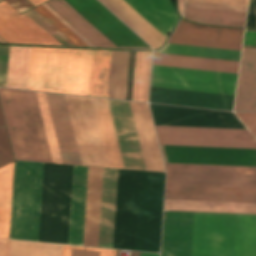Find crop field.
<instances>
[{"mask_svg": "<svg viewBox=\"0 0 256 256\" xmlns=\"http://www.w3.org/2000/svg\"><path fill=\"white\" fill-rule=\"evenodd\" d=\"M164 173L119 170L113 248L159 252Z\"/></svg>", "mask_w": 256, "mask_h": 256, "instance_id": "1", "label": "crop field"}, {"mask_svg": "<svg viewBox=\"0 0 256 256\" xmlns=\"http://www.w3.org/2000/svg\"><path fill=\"white\" fill-rule=\"evenodd\" d=\"M92 50L31 48L27 89L88 96Z\"/></svg>", "mask_w": 256, "mask_h": 256, "instance_id": "2", "label": "crop field"}, {"mask_svg": "<svg viewBox=\"0 0 256 256\" xmlns=\"http://www.w3.org/2000/svg\"><path fill=\"white\" fill-rule=\"evenodd\" d=\"M16 159L52 162L35 92L0 88Z\"/></svg>", "mask_w": 256, "mask_h": 256, "instance_id": "3", "label": "crop field"}, {"mask_svg": "<svg viewBox=\"0 0 256 256\" xmlns=\"http://www.w3.org/2000/svg\"><path fill=\"white\" fill-rule=\"evenodd\" d=\"M252 215L194 213L191 256H249Z\"/></svg>", "mask_w": 256, "mask_h": 256, "instance_id": "4", "label": "crop field"}, {"mask_svg": "<svg viewBox=\"0 0 256 256\" xmlns=\"http://www.w3.org/2000/svg\"><path fill=\"white\" fill-rule=\"evenodd\" d=\"M72 172L44 163L39 241L67 244Z\"/></svg>", "mask_w": 256, "mask_h": 256, "instance_id": "5", "label": "crop field"}, {"mask_svg": "<svg viewBox=\"0 0 256 256\" xmlns=\"http://www.w3.org/2000/svg\"><path fill=\"white\" fill-rule=\"evenodd\" d=\"M43 163L15 161L9 238L38 241Z\"/></svg>", "mask_w": 256, "mask_h": 256, "instance_id": "6", "label": "crop field"}, {"mask_svg": "<svg viewBox=\"0 0 256 256\" xmlns=\"http://www.w3.org/2000/svg\"><path fill=\"white\" fill-rule=\"evenodd\" d=\"M153 49L159 48L179 16L168 0H99Z\"/></svg>", "mask_w": 256, "mask_h": 256, "instance_id": "7", "label": "crop field"}, {"mask_svg": "<svg viewBox=\"0 0 256 256\" xmlns=\"http://www.w3.org/2000/svg\"><path fill=\"white\" fill-rule=\"evenodd\" d=\"M166 184L256 188V167L165 164Z\"/></svg>", "mask_w": 256, "mask_h": 256, "instance_id": "8", "label": "crop field"}, {"mask_svg": "<svg viewBox=\"0 0 256 256\" xmlns=\"http://www.w3.org/2000/svg\"><path fill=\"white\" fill-rule=\"evenodd\" d=\"M82 164L109 167L91 98L65 95Z\"/></svg>", "mask_w": 256, "mask_h": 256, "instance_id": "9", "label": "crop field"}, {"mask_svg": "<svg viewBox=\"0 0 256 256\" xmlns=\"http://www.w3.org/2000/svg\"><path fill=\"white\" fill-rule=\"evenodd\" d=\"M160 145L256 149L247 130L155 126Z\"/></svg>", "mask_w": 256, "mask_h": 256, "instance_id": "10", "label": "crop field"}, {"mask_svg": "<svg viewBox=\"0 0 256 256\" xmlns=\"http://www.w3.org/2000/svg\"><path fill=\"white\" fill-rule=\"evenodd\" d=\"M237 74L153 66L151 86L234 95Z\"/></svg>", "mask_w": 256, "mask_h": 256, "instance_id": "11", "label": "crop field"}, {"mask_svg": "<svg viewBox=\"0 0 256 256\" xmlns=\"http://www.w3.org/2000/svg\"><path fill=\"white\" fill-rule=\"evenodd\" d=\"M155 125L245 129L232 113L150 104Z\"/></svg>", "mask_w": 256, "mask_h": 256, "instance_id": "12", "label": "crop field"}, {"mask_svg": "<svg viewBox=\"0 0 256 256\" xmlns=\"http://www.w3.org/2000/svg\"><path fill=\"white\" fill-rule=\"evenodd\" d=\"M165 163L256 166V150L163 146Z\"/></svg>", "mask_w": 256, "mask_h": 256, "instance_id": "13", "label": "crop field"}, {"mask_svg": "<svg viewBox=\"0 0 256 256\" xmlns=\"http://www.w3.org/2000/svg\"><path fill=\"white\" fill-rule=\"evenodd\" d=\"M117 46L149 47L96 0H66ZM133 48V47H118ZM151 49V48H134Z\"/></svg>", "mask_w": 256, "mask_h": 256, "instance_id": "14", "label": "crop field"}, {"mask_svg": "<svg viewBox=\"0 0 256 256\" xmlns=\"http://www.w3.org/2000/svg\"><path fill=\"white\" fill-rule=\"evenodd\" d=\"M242 33L243 30L206 27L181 19L169 43L240 50Z\"/></svg>", "mask_w": 256, "mask_h": 256, "instance_id": "15", "label": "crop field"}, {"mask_svg": "<svg viewBox=\"0 0 256 256\" xmlns=\"http://www.w3.org/2000/svg\"><path fill=\"white\" fill-rule=\"evenodd\" d=\"M0 37L8 43L61 45L25 13L0 2Z\"/></svg>", "mask_w": 256, "mask_h": 256, "instance_id": "16", "label": "crop field"}, {"mask_svg": "<svg viewBox=\"0 0 256 256\" xmlns=\"http://www.w3.org/2000/svg\"><path fill=\"white\" fill-rule=\"evenodd\" d=\"M165 199L256 203V189L166 185Z\"/></svg>", "mask_w": 256, "mask_h": 256, "instance_id": "17", "label": "crop field"}, {"mask_svg": "<svg viewBox=\"0 0 256 256\" xmlns=\"http://www.w3.org/2000/svg\"><path fill=\"white\" fill-rule=\"evenodd\" d=\"M62 162L81 164L66 100L64 95L45 93Z\"/></svg>", "mask_w": 256, "mask_h": 256, "instance_id": "18", "label": "crop field"}, {"mask_svg": "<svg viewBox=\"0 0 256 256\" xmlns=\"http://www.w3.org/2000/svg\"><path fill=\"white\" fill-rule=\"evenodd\" d=\"M243 45L256 46V32L245 31ZM256 110V48L243 47L234 111Z\"/></svg>", "mask_w": 256, "mask_h": 256, "instance_id": "19", "label": "crop field"}, {"mask_svg": "<svg viewBox=\"0 0 256 256\" xmlns=\"http://www.w3.org/2000/svg\"><path fill=\"white\" fill-rule=\"evenodd\" d=\"M247 7L186 1L184 18L202 24L244 27Z\"/></svg>", "mask_w": 256, "mask_h": 256, "instance_id": "20", "label": "crop field"}, {"mask_svg": "<svg viewBox=\"0 0 256 256\" xmlns=\"http://www.w3.org/2000/svg\"><path fill=\"white\" fill-rule=\"evenodd\" d=\"M193 213L165 212L162 256H190Z\"/></svg>", "mask_w": 256, "mask_h": 256, "instance_id": "21", "label": "crop field"}, {"mask_svg": "<svg viewBox=\"0 0 256 256\" xmlns=\"http://www.w3.org/2000/svg\"><path fill=\"white\" fill-rule=\"evenodd\" d=\"M234 96L151 88L150 102L232 111Z\"/></svg>", "mask_w": 256, "mask_h": 256, "instance_id": "22", "label": "crop field"}, {"mask_svg": "<svg viewBox=\"0 0 256 256\" xmlns=\"http://www.w3.org/2000/svg\"><path fill=\"white\" fill-rule=\"evenodd\" d=\"M129 103L146 169L164 171L147 104Z\"/></svg>", "mask_w": 256, "mask_h": 256, "instance_id": "23", "label": "crop field"}, {"mask_svg": "<svg viewBox=\"0 0 256 256\" xmlns=\"http://www.w3.org/2000/svg\"><path fill=\"white\" fill-rule=\"evenodd\" d=\"M103 168L89 167L83 245L97 247Z\"/></svg>", "mask_w": 256, "mask_h": 256, "instance_id": "24", "label": "crop field"}, {"mask_svg": "<svg viewBox=\"0 0 256 256\" xmlns=\"http://www.w3.org/2000/svg\"><path fill=\"white\" fill-rule=\"evenodd\" d=\"M88 167L74 166L69 243L82 245Z\"/></svg>", "mask_w": 256, "mask_h": 256, "instance_id": "25", "label": "crop field"}, {"mask_svg": "<svg viewBox=\"0 0 256 256\" xmlns=\"http://www.w3.org/2000/svg\"><path fill=\"white\" fill-rule=\"evenodd\" d=\"M94 47L117 48L64 0L45 2Z\"/></svg>", "mask_w": 256, "mask_h": 256, "instance_id": "26", "label": "crop field"}, {"mask_svg": "<svg viewBox=\"0 0 256 256\" xmlns=\"http://www.w3.org/2000/svg\"><path fill=\"white\" fill-rule=\"evenodd\" d=\"M239 62L154 53L153 65L237 73Z\"/></svg>", "mask_w": 256, "mask_h": 256, "instance_id": "27", "label": "crop field"}, {"mask_svg": "<svg viewBox=\"0 0 256 256\" xmlns=\"http://www.w3.org/2000/svg\"><path fill=\"white\" fill-rule=\"evenodd\" d=\"M93 99L100 131L102 134L108 162L110 167L124 168L119 147L117 144L113 124L111 121L107 101L103 99Z\"/></svg>", "mask_w": 256, "mask_h": 256, "instance_id": "28", "label": "crop field"}, {"mask_svg": "<svg viewBox=\"0 0 256 256\" xmlns=\"http://www.w3.org/2000/svg\"><path fill=\"white\" fill-rule=\"evenodd\" d=\"M165 210L256 213V204L165 200Z\"/></svg>", "mask_w": 256, "mask_h": 256, "instance_id": "29", "label": "crop field"}, {"mask_svg": "<svg viewBox=\"0 0 256 256\" xmlns=\"http://www.w3.org/2000/svg\"><path fill=\"white\" fill-rule=\"evenodd\" d=\"M111 51L93 50L89 96L106 98Z\"/></svg>", "mask_w": 256, "mask_h": 256, "instance_id": "30", "label": "crop field"}, {"mask_svg": "<svg viewBox=\"0 0 256 256\" xmlns=\"http://www.w3.org/2000/svg\"><path fill=\"white\" fill-rule=\"evenodd\" d=\"M30 48L10 47L6 87L26 89Z\"/></svg>", "mask_w": 256, "mask_h": 256, "instance_id": "31", "label": "crop field"}, {"mask_svg": "<svg viewBox=\"0 0 256 256\" xmlns=\"http://www.w3.org/2000/svg\"><path fill=\"white\" fill-rule=\"evenodd\" d=\"M14 162L0 168V238H8Z\"/></svg>", "mask_w": 256, "mask_h": 256, "instance_id": "32", "label": "crop field"}, {"mask_svg": "<svg viewBox=\"0 0 256 256\" xmlns=\"http://www.w3.org/2000/svg\"><path fill=\"white\" fill-rule=\"evenodd\" d=\"M152 53L136 52L132 100L147 102Z\"/></svg>", "mask_w": 256, "mask_h": 256, "instance_id": "33", "label": "crop field"}, {"mask_svg": "<svg viewBox=\"0 0 256 256\" xmlns=\"http://www.w3.org/2000/svg\"><path fill=\"white\" fill-rule=\"evenodd\" d=\"M160 53L239 61L240 51L167 44Z\"/></svg>", "mask_w": 256, "mask_h": 256, "instance_id": "34", "label": "crop field"}, {"mask_svg": "<svg viewBox=\"0 0 256 256\" xmlns=\"http://www.w3.org/2000/svg\"><path fill=\"white\" fill-rule=\"evenodd\" d=\"M62 245L11 240L10 256H61Z\"/></svg>", "mask_w": 256, "mask_h": 256, "instance_id": "35", "label": "crop field"}, {"mask_svg": "<svg viewBox=\"0 0 256 256\" xmlns=\"http://www.w3.org/2000/svg\"><path fill=\"white\" fill-rule=\"evenodd\" d=\"M36 94H37V98H38V102H39V106L42 114V119H43L45 131L47 135V140H48L52 160L53 162L62 163L56 138H55V134H54V130H53V126H52V122H51V118H50V114H49V110H48V106H47V102H46V98H45V94L40 92H36Z\"/></svg>", "mask_w": 256, "mask_h": 256, "instance_id": "36", "label": "crop field"}, {"mask_svg": "<svg viewBox=\"0 0 256 256\" xmlns=\"http://www.w3.org/2000/svg\"><path fill=\"white\" fill-rule=\"evenodd\" d=\"M62 256H116V250L63 245Z\"/></svg>", "mask_w": 256, "mask_h": 256, "instance_id": "37", "label": "crop field"}, {"mask_svg": "<svg viewBox=\"0 0 256 256\" xmlns=\"http://www.w3.org/2000/svg\"><path fill=\"white\" fill-rule=\"evenodd\" d=\"M45 19H47L54 27H56L63 35H65L76 46L88 47L76 35H74L67 27H65L57 18H55L47 9L42 5L34 8Z\"/></svg>", "mask_w": 256, "mask_h": 256, "instance_id": "38", "label": "crop field"}, {"mask_svg": "<svg viewBox=\"0 0 256 256\" xmlns=\"http://www.w3.org/2000/svg\"><path fill=\"white\" fill-rule=\"evenodd\" d=\"M33 20H35L40 26H42L47 32L51 35L57 33L61 38H63L70 46H75L71 43L65 36H63L56 28H54L47 20H45L39 13H37L34 9L26 12ZM54 35L60 42L63 44H67L64 40H62L58 35ZM55 38V39H56ZM61 43V44H62ZM62 44V45H63ZM67 45V46H69Z\"/></svg>", "mask_w": 256, "mask_h": 256, "instance_id": "39", "label": "crop field"}, {"mask_svg": "<svg viewBox=\"0 0 256 256\" xmlns=\"http://www.w3.org/2000/svg\"><path fill=\"white\" fill-rule=\"evenodd\" d=\"M13 160L6 129L0 127V166Z\"/></svg>", "mask_w": 256, "mask_h": 256, "instance_id": "40", "label": "crop field"}, {"mask_svg": "<svg viewBox=\"0 0 256 256\" xmlns=\"http://www.w3.org/2000/svg\"><path fill=\"white\" fill-rule=\"evenodd\" d=\"M256 138V113H235Z\"/></svg>", "mask_w": 256, "mask_h": 256, "instance_id": "41", "label": "crop field"}, {"mask_svg": "<svg viewBox=\"0 0 256 256\" xmlns=\"http://www.w3.org/2000/svg\"><path fill=\"white\" fill-rule=\"evenodd\" d=\"M135 52H130L126 100H131Z\"/></svg>", "mask_w": 256, "mask_h": 256, "instance_id": "42", "label": "crop field"}, {"mask_svg": "<svg viewBox=\"0 0 256 256\" xmlns=\"http://www.w3.org/2000/svg\"><path fill=\"white\" fill-rule=\"evenodd\" d=\"M11 7H13L17 12L22 13L33 6L26 0H4Z\"/></svg>", "mask_w": 256, "mask_h": 256, "instance_id": "43", "label": "crop field"}, {"mask_svg": "<svg viewBox=\"0 0 256 256\" xmlns=\"http://www.w3.org/2000/svg\"><path fill=\"white\" fill-rule=\"evenodd\" d=\"M256 17V0H250L246 27H254Z\"/></svg>", "mask_w": 256, "mask_h": 256, "instance_id": "44", "label": "crop field"}, {"mask_svg": "<svg viewBox=\"0 0 256 256\" xmlns=\"http://www.w3.org/2000/svg\"><path fill=\"white\" fill-rule=\"evenodd\" d=\"M250 256H256V215H253Z\"/></svg>", "mask_w": 256, "mask_h": 256, "instance_id": "45", "label": "crop field"}, {"mask_svg": "<svg viewBox=\"0 0 256 256\" xmlns=\"http://www.w3.org/2000/svg\"><path fill=\"white\" fill-rule=\"evenodd\" d=\"M42 5L45 8H47L55 17H57L64 25H66L74 34H76L84 43H86L89 47H93L81 35H79L71 26H69L61 17H59L51 8H49L45 3Z\"/></svg>", "mask_w": 256, "mask_h": 256, "instance_id": "46", "label": "crop field"}, {"mask_svg": "<svg viewBox=\"0 0 256 256\" xmlns=\"http://www.w3.org/2000/svg\"><path fill=\"white\" fill-rule=\"evenodd\" d=\"M192 1L216 2V3H228V4H240V5H247L248 3V0H192Z\"/></svg>", "mask_w": 256, "mask_h": 256, "instance_id": "47", "label": "crop field"}, {"mask_svg": "<svg viewBox=\"0 0 256 256\" xmlns=\"http://www.w3.org/2000/svg\"><path fill=\"white\" fill-rule=\"evenodd\" d=\"M10 240L0 239V256H9Z\"/></svg>", "mask_w": 256, "mask_h": 256, "instance_id": "48", "label": "crop field"}, {"mask_svg": "<svg viewBox=\"0 0 256 256\" xmlns=\"http://www.w3.org/2000/svg\"><path fill=\"white\" fill-rule=\"evenodd\" d=\"M183 2L184 0H178V12L180 15L182 14Z\"/></svg>", "mask_w": 256, "mask_h": 256, "instance_id": "49", "label": "crop field"}, {"mask_svg": "<svg viewBox=\"0 0 256 256\" xmlns=\"http://www.w3.org/2000/svg\"><path fill=\"white\" fill-rule=\"evenodd\" d=\"M31 3H33L34 5H38L46 0H29Z\"/></svg>", "mask_w": 256, "mask_h": 256, "instance_id": "50", "label": "crop field"}, {"mask_svg": "<svg viewBox=\"0 0 256 256\" xmlns=\"http://www.w3.org/2000/svg\"><path fill=\"white\" fill-rule=\"evenodd\" d=\"M141 256H159L158 254L141 253Z\"/></svg>", "mask_w": 256, "mask_h": 256, "instance_id": "51", "label": "crop field"}, {"mask_svg": "<svg viewBox=\"0 0 256 256\" xmlns=\"http://www.w3.org/2000/svg\"><path fill=\"white\" fill-rule=\"evenodd\" d=\"M3 125H4V122H3V118L0 110V126H3Z\"/></svg>", "mask_w": 256, "mask_h": 256, "instance_id": "52", "label": "crop field"}, {"mask_svg": "<svg viewBox=\"0 0 256 256\" xmlns=\"http://www.w3.org/2000/svg\"><path fill=\"white\" fill-rule=\"evenodd\" d=\"M0 42H4V41L0 39ZM4 43H5V42H4Z\"/></svg>", "mask_w": 256, "mask_h": 256, "instance_id": "53", "label": "crop field"}, {"mask_svg": "<svg viewBox=\"0 0 256 256\" xmlns=\"http://www.w3.org/2000/svg\"><path fill=\"white\" fill-rule=\"evenodd\" d=\"M255 27H256V24H255Z\"/></svg>", "mask_w": 256, "mask_h": 256, "instance_id": "54", "label": "crop field"}]
</instances>
